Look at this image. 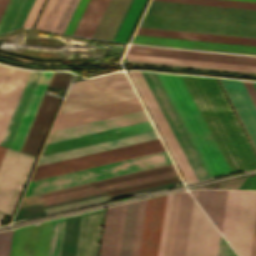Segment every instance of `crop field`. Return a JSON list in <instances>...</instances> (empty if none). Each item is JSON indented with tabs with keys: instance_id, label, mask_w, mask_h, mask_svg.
I'll list each match as a JSON object with an SVG mask.
<instances>
[{
	"instance_id": "14",
	"label": "crop field",
	"mask_w": 256,
	"mask_h": 256,
	"mask_svg": "<svg viewBox=\"0 0 256 256\" xmlns=\"http://www.w3.org/2000/svg\"><path fill=\"white\" fill-rule=\"evenodd\" d=\"M12 67L0 66V97L8 81ZM30 71L14 68L0 100V141L12 115Z\"/></svg>"
},
{
	"instance_id": "25",
	"label": "crop field",
	"mask_w": 256,
	"mask_h": 256,
	"mask_svg": "<svg viewBox=\"0 0 256 256\" xmlns=\"http://www.w3.org/2000/svg\"><path fill=\"white\" fill-rule=\"evenodd\" d=\"M122 206L107 208L100 256H115Z\"/></svg>"
},
{
	"instance_id": "12",
	"label": "crop field",
	"mask_w": 256,
	"mask_h": 256,
	"mask_svg": "<svg viewBox=\"0 0 256 256\" xmlns=\"http://www.w3.org/2000/svg\"><path fill=\"white\" fill-rule=\"evenodd\" d=\"M52 220L15 229L10 256H47Z\"/></svg>"
},
{
	"instance_id": "40",
	"label": "crop field",
	"mask_w": 256,
	"mask_h": 256,
	"mask_svg": "<svg viewBox=\"0 0 256 256\" xmlns=\"http://www.w3.org/2000/svg\"><path fill=\"white\" fill-rule=\"evenodd\" d=\"M252 84H253V86H254V88L256 90V82H252Z\"/></svg>"
},
{
	"instance_id": "1",
	"label": "crop field",
	"mask_w": 256,
	"mask_h": 256,
	"mask_svg": "<svg viewBox=\"0 0 256 256\" xmlns=\"http://www.w3.org/2000/svg\"><path fill=\"white\" fill-rule=\"evenodd\" d=\"M141 108L142 106L138 98H135V99L117 102L109 105H104V106L77 111L69 114H64L57 117L52 130L86 122V121L103 118V117H108V116H112V115H116L124 112H129V111H133ZM147 120H149L147 114L145 113L144 109H141V110H137L129 113H124V114H120V115H116L108 118H103V119H99L91 122H86V123H82V124H78L70 127L53 130L50 132L46 143L61 140V139H66L70 137H75L79 135H84L88 133H93L97 131L116 128L120 126H125L129 124H134L138 122H143ZM152 129L153 127L150 121H147L143 123H138L134 125L102 131L98 133H93V134H88L84 136L57 141V142H52L45 145L41 155L60 151V150H65L73 147H78L82 145H87L95 142H100L108 139L122 137L130 134L144 132ZM157 138L158 136L155 130H152L144 133L130 135V136L117 138L113 140H108V141L95 143L87 146H82V147L73 148L65 151L51 153V154L41 156L37 166L55 162V161L64 160V159H69L73 157H78L86 154L109 150L117 147L140 143L148 140H153Z\"/></svg>"
},
{
	"instance_id": "10",
	"label": "crop field",
	"mask_w": 256,
	"mask_h": 256,
	"mask_svg": "<svg viewBox=\"0 0 256 256\" xmlns=\"http://www.w3.org/2000/svg\"><path fill=\"white\" fill-rule=\"evenodd\" d=\"M172 196L173 194L167 195V198L166 195H164L148 199L139 256H157L164 204L166 198L164 218L158 251V256H163Z\"/></svg>"
},
{
	"instance_id": "23",
	"label": "crop field",
	"mask_w": 256,
	"mask_h": 256,
	"mask_svg": "<svg viewBox=\"0 0 256 256\" xmlns=\"http://www.w3.org/2000/svg\"><path fill=\"white\" fill-rule=\"evenodd\" d=\"M40 73L41 72H36V71L30 72L28 79L26 81V84L21 93V96L16 105V108L8 124V127L5 131L3 139L0 143L1 145H5L8 147L10 146Z\"/></svg>"
},
{
	"instance_id": "3",
	"label": "crop field",
	"mask_w": 256,
	"mask_h": 256,
	"mask_svg": "<svg viewBox=\"0 0 256 256\" xmlns=\"http://www.w3.org/2000/svg\"><path fill=\"white\" fill-rule=\"evenodd\" d=\"M127 53L256 65V56L201 52V51L136 46V45H130ZM136 54H125V58L127 61H132V62H153V63H164V64H175V65L198 66V67H209V68L256 72V66L167 58V57H156V56H146V55H136Z\"/></svg>"
},
{
	"instance_id": "20",
	"label": "crop field",
	"mask_w": 256,
	"mask_h": 256,
	"mask_svg": "<svg viewBox=\"0 0 256 256\" xmlns=\"http://www.w3.org/2000/svg\"><path fill=\"white\" fill-rule=\"evenodd\" d=\"M53 72H42L40 78H39V81L36 85V88L33 92V95L30 99V102L27 106V109L25 111V114L22 118V121L19 125V128L16 132V135L13 139V142L11 144V148H15V149H20L21 145H22V142L25 138V135L28 131V128L31 124V121L34 117V114L38 108V105L41 101V98L44 94V91L47 87V84L50 80V77L52 75Z\"/></svg>"
},
{
	"instance_id": "24",
	"label": "crop field",
	"mask_w": 256,
	"mask_h": 256,
	"mask_svg": "<svg viewBox=\"0 0 256 256\" xmlns=\"http://www.w3.org/2000/svg\"><path fill=\"white\" fill-rule=\"evenodd\" d=\"M14 0H0V27L12 5ZM34 0H15L1 29H0V34L4 33V32H7V31H10L12 29H15V28H18L22 25L32 3H33Z\"/></svg>"
},
{
	"instance_id": "16",
	"label": "crop field",
	"mask_w": 256,
	"mask_h": 256,
	"mask_svg": "<svg viewBox=\"0 0 256 256\" xmlns=\"http://www.w3.org/2000/svg\"><path fill=\"white\" fill-rule=\"evenodd\" d=\"M99 0H80L64 33L82 36ZM109 0H100L98 7L83 36L91 38Z\"/></svg>"
},
{
	"instance_id": "6",
	"label": "crop field",
	"mask_w": 256,
	"mask_h": 256,
	"mask_svg": "<svg viewBox=\"0 0 256 256\" xmlns=\"http://www.w3.org/2000/svg\"><path fill=\"white\" fill-rule=\"evenodd\" d=\"M256 217V191L228 190L221 233L239 256H249Z\"/></svg>"
},
{
	"instance_id": "31",
	"label": "crop field",
	"mask_w": 256,
	"mask_h": 256,
	"mask_svg": "<svg viewBox=\"0 0 256 256\" xmlns=\"http://www.w3.org/2000/svg\"><path fill=\"white\" fill-rule=\"evenodd\" d=\"M157 75H158V77H159V79H160V81H161V83H162V85H163V87H164L166 93L168 94V96H169V98H170V100H171V102H172V104H173V106H174V108H175L177 114L179 115V117H180V119H181V121H182V123H183V125H184V127H185V129H186V131H187V133H188V135L190 136V138H191V140H192V142H193V144H194V146H195V148H196V150H197L199 156L201 157V159H202V161H203V163H204V165H205V167H206V169H207V171H208L210 177H213V174H212V172H211V170H210V168H209V166H208V164H207V162H206L204 156L202 155V153H201V151H200V149H199V147H198V145H197V143H196V141H195L193 135L191 134V132H190V130H189V128H188V126H187V124H186V122H185L183 116L181 115V113H180V111H179V109H178V107H177V105H176V103H175V101H174L172 95L170 94V92H169V90H168V88H167V86H166V84H165V82H164V80H163L161 74H158V73H157Z\"/></svg>"
},
{
	"instance_id": "8",
	"label": "crop field",
	"mask_w": 256,
	"mask_h": 256,
	"mask_svg": "<svg viewBox=\"0 0 256 256\" xmlns=\"http://www.w3.org/2000/svg\"><path fill=\"white\" fill-rule=\"evenodd\" d=\"M35 159L6 149L0 163V212L12 214Z\"/></svg>"
},
{
	"instance_id": "35",
	"label": "crop field",
	"mask_w": 256,
	"mask_h": 256,
	"mask_svg": "<svg viewBox=\"0 0 256 256\" xmlns=\"http://www.w3.org/2000/svg\"><path fill=\"white\" fill-rule=\"evenodd\" d=\"M218 256H236L232 249L228 246L225 240L220 238Z\"/></svg>"
},
{
	"instance_id": "13",
	"label": "crop field",
	"mask_w": 256,
	"mask_h": 256,
	"mask_svg": "<svg viewBox=\"0 0 256 256\" xmlns=\"http://www.w3.org/2000/svg\"><path fill=\"white\" fill-rule=\"evenodd\" d=\"M182 196L183 193H175L173 197L164 256H173ZM191 202L192 198L190 197V195L184 192L174 256H183L184 254Z\"/></svg>"
},
{
	"instance_id": "5",
	"label": "crop field",
	"mask_w": 256,
	"mask_h": 256,
	"mask_svg": "<svg viewBox=\"0 0 256 256\" xmlns=\"http://www.w3.org/2000/svg\"><path fill=\"white\" fill-rule=\"evenodd\" d=\"M182 115L194 135L214 176L229 173L230 170L210 134L201 114L189 94L181 76L162 74Z\"/></svg>"
},
{
	"instance_id": "15",
	"label": "crop field",
	"mask_w": 256,
	"mask_h": 256,
	"mask_svg": "<svg viewBox=\"0 0 256 256\" xmlns=\"http://www.w3.org/2000/svg\"><path fill=\"white\" fill-rule=\"evenodd\" d=\"M146 202H147V199L129 203V204L139 203V207H138V204H136V205L127 206V209H126V205H129V204H124L121 225H120V231H119L118 244H117V250H116V256H118V253H119L125 209H126V215H125L124 228H123L119 256H130L137 207H138V213H137V219H136V225H135V231H134V237H133L131 256H138L142 227H143V220H144V214H145V208H146Z\"/></svg>"
},
{
	"instance_id": "17",
	"label": "crop field",
	"mask_w": 256,
	"mask_h": 256,
	"mask_svg": "<svg viewBox=\"0 0 256 256\" xmlns=\"http://www.w3.org/2000/svg\"><path fill=\"white\" fill-rule=\"evenodd\" d=\"M221 80L256 146V108L242 81L223 78Z\"/></svg>"
},
{
	"instance_id": "11",
	"label": "crop field",
	"mask_w": 256,
	"mask_h": 256,
	"mask_svg": "<svg viewBox=\"0 0 256 256\" xmlns=\"http://www.w3.org/2000/svg\"><path fill=\"white\" fill-rule=\"evenodd\" d=\"M220 234L192 202L184 256H217Z\"/></svg>"
},
{
	"instance_id": "30",
	"label": "crop field",
	"mask_w": 256,
	"mask_h": 256,
	"mask_svg": "<svg viewBox=\"0 0 256 256\" xmlns=\"http://www.w3.org/2000/svg\"><path fill=\"white\" fill-rule=\"evenodd\" d=\"M167 1L256 9V2L236 1V0H167Z\"/></svg>"
},
{
	"instance_id": "29",
	"label": "crop field",
	"mask_w": 256,
	"mask_h": 256,
	"mask_svg": "<svg viewBox=\"0 0 256 256\" xmlns=\"http://www.w3.org/2000/svg\"><path fill=\"white\" fill-rule=\"evenodd\" d=\"M136 73H137V75H138V77H139V79H140L142 85L144 86V88H145V90H146V92H147V94H148V96H149L151 102L153 103V105H154V107H155V109H156V111H157L159 117L161 118V120H162V122H163V124H164V126H165V128H166V130H167V132H168V134L170 135V137H171V139H172V141H173V143H174L176 149L178 150V152H179V154H180V156H181V158H182V160H183L185 166L187 167V169H188V171H189V173H190V175H191L193 181H197L196 178H195V176H194V174H193V172H192V170H191V168H190V166H189V164H188V162H187V160L185 159V157H184V155H183V153H182V151H181V149H180V147H179V145H178V143H177L175 137L173 136V134H172V132H171V130H170V128H169V126H168V124H167L165 118H164V116L162 115V113H161V111H160V109H159V107H158V105H157V103H156V101H155V99H154L152 93L150 92V90H149V88H148V86H147V84H146V82H145V80H144V78H143L141 72H137V71H136Z\"/></svg>"
},
{
	"instance_id": "27",
	"label": "crop field",
	"mask_w": 256,
	"mask_h": 256,
	"mask_svg": "<svg viewBox=\"0 0 256 256\" xmlns=\"http://www.w3.org/2000/svg\"><path fill=\"white\" fill-rule=\"evenodd\" d=\"M81 217L82 214L67 217L61 256H75Z\"/></svg>"
},
{
	"instance_id": "39",
	"label": "crop field",
	"mask_w": 256,
	"mask_h": 256,
	"mask_svg": "<svg viewBox=\"0 0 256 256\" xmlns=\"http://www.w3.org/2000/svg\"><path fill=\"white\" fill-rule=\"evenodd\" d=\"M5 149H6L5 147L0 146V160L3 156V153H4Z\"/></svg>"
},
{
	"instance_id": "26",
	"label": "crop field",
	"mask_w": 256,
	"mask_h": 256,
	"mask_svg": "<svg viewBox=\"0 0 256 256\" xmlns=\"http://www.w3.org/2000/svg\"><path fill=\"white\" fill-rule=\"evenodd\" d=\"M147 0H131L111 41L126 43Z\"/></svg>"
},
{
	"instance_id": "21",
	"label": "crop field",
	"mask_w": 256,
	"mask_h": 256,
	"mask_svg": "<svg viewBox=\"0 0 256 256\" xmlns=\"http://www.w3.org/2000/svg\"><path fill=\"white\" fill-rule=\"evenodd\" d=\"M129 74H130V76H131V78H132V80H133V82H134V84H135L139 94L141 95V97H142V99H143V101H144V103H145V105H146L150 115L152 116V118H153V120H154V122H155V124H156V126H157V128H158V130H159V132H160V134L162 136V138L164 139V141H165V143H166V145H167V147H168V149H169L173 159L175 160V162H176V164H177V166H178V168H179V170H180V172H181L185 182H193L191 177H190V175H189V173H188V171H187V169H186V167L184 166V164H183V162H182V160H181L177 150L175 149V147H174V145H173L169 135L167 134V132H166V130H165V128H164L160 118L158 117V115H157V113H156L152 103L150 102V100H149V98H148V96H147L143 86L141 85V83H140V81H139L135 71H130Z\"/></svg>"
},
{
	"instance_id": "18",
	"label": "crop field",
	"mask_w": 256,
	"mask_h": 256,
	"mask_svg": "<svg viewBox=\"0 0 256 256\" xmlns=\"http://www.w3.org/2000/svg\"><path fill=\"white\" fill-rule=\"evenodd\" d=\"M79 0H48L35 28L63 33Z\"/></svg>"
},
{
	"instance_id": "9",
	"label": "crop field",
	"mask_w": 256,
	"mask_h": 256,
	"mask_svg": "<svg viewBox=\"0 0 256 256\" xmlns=\"http://www.w3.org/2000/svg\"><path fill=\"white\" fill-rule=\"evenodd\" d=\"M151 92L153 93L163 115L165 116L174 136L176 137L186 159L188 160L197 180L208 178L209 175L161 87L155 73L142 72Z\"/></svg>"
},
{
	"instance_id": "36",
	"label": "crop field",
	"mask_w": 256,
	"mask_h": 256,
	"mask_svg": "<svg viewBox=\"0 0 256 256\" xmlns=\"http://www.w3.org/2000/svg\"><path fill=\"white\" fill-rule=\"evenodd\" d=\"M239 189H256V176L247 178Z\"/></svg>"
},
{
	"instance_id": "19",
	"label": "crop field",
	"mask_w": 256,
	"mask_h": 256,
	"mask_svg": "<svg viewBox=\"0 0 256 256\" xmlns=\"http://www.w3.org/2000/svg\"><path fill=\"white\" fill-rule=\"evenodd\" d=\"M102 212L83 214L76 256H96Z\"/></svg>"
},
{
	"instance_id": "2",
	"label": "crop field",
	"mask_w": 256,
	"mask_h": 256,
	"mask_svg": "<svg viewBox=\"0 0 256 256\" xmlns=\"http://www.w3.org/2000/svg\"><path fill=\"white\" fill-rule=\"evenodd\" d=\"M170 163L171 161L166 151H163L98 167L40 179L36 180V187L29 188L31 182L29 183V190L27 189L24 197Z\"/></svg>"
},
{
	"instance_id": "33",
	"label": "crop field",
	"mask_w": 256,
	"mask_h": 256,
	"mask_svg": "<svg viewBox=\"0 0 256 256\" xmlns=\"http://www.w3.org/2000/svg\"><path fill=\"white\" fill-rule=\"evenodd\" d=\"M13 231L0 232V256H9Z\"/></svg>"
},
{
	"instance_id": "4",
	"label": "crop field",
	"mask_w": 256,
	"mask_h": 256,
	"mask_svg": "<svg viewBox=\"0 0 256 256\" xmlns=\"http://www.w3.org/2000/svg\"><path fill=\"white\" fill-rule=\"evenodd\" d=\"M136 34L256 45V39L138 28ZM134 35L131 43L256 55V46Z\"/></svg>"
},
{
	"instance_id": "28",
	"label": "crop field",
	"mask_w": 256,
	"mask_h": 256,
	"mask_svg": "<svg viewBox=\"0 0 256 256\" xmlns=\"http://www.w3.org/2000/svg\"><path fill=\"white\" fill-rule=\"evenodd\" d=\"M65 220L66 217L53 220L48 256H60Z\"/></svg>"
},
{
	"instance_id": "38",
	"label": "crop field",
	"mask_w": 256,
	"mask_h": 256,
	"mask_svg": "<svg viewBox=\"0 0 256 256\" xmlns=\"http://www.w3.org/2000/svg\"><path fill=\"white\" fill-rule=\"evenodd\" d=\"M250 256H256V223H255V229H254V235H253V241H252Z\"/></svg>"
},
{
	"instance_id": "41",
	"label": "crop field",
	"mask_w": 256,
	"mask_h": 256,
	"mask_svg": "<svg viewBox=\"0 0 256 256\" xmlns=\"http://www.w3.org/2000/svg\"><path fill=\"white\" fill-rule=\"evenodd\" d=\"M3 216H4L3 214H0V223H1Z\"/></svg>"
},
{
	"instance_id": "42",
	"label": "crop field",
	"mask_w": 256,
	"mask_h": 256,
	"mask_svg": "<svg viewBox=\"0 0 256 256\" xmlns=\"http://www.w3.org/2000/svg\"><path fill=\"white\" fill-rule=\"evenodd\" d=\"M247 1H256V0H247Z\"/></svg>"
},
{
	"instance_id": "22",
	"label": "crop field",
	"mask_w": 256,
	"mask_h": 256,
	"mask_svg": "<svg viewBox=\"0 0 256 256\" xmlns=\"http://www.w3.org/2000/svg\"><path fill=\"white\" fill-rule=\"evenodd\" d=\"M227 190H195L194 197L216 225L221 229Z\"/></svg>"
},
{
	"instance_id": "37",
	"label": "crop field",
	"mask_w": 256,
	"mask_h": 256,
	"mask_svg": "<svg viewBox=\"0 0 256 256\" xmlns=\"http://www.w3.org/2000/svg\"><path fill=\"white\" fill-rule=\"evenodd\" d=\"M252 101L254 102L255 106H256V92L251 84V82H246V81H243Z\"/></svg>"
},
{
	"instance_id": "7",
	"label": "crop field",
	"mask_w": 256,
	"mask_h": 256,
	"mask_svg": "<svg viewBox=\"0 0 256 256\" xmlns=\"http://www.w3.org/2000/svg\"><path fill=\"white\" fill-rule=\"evenodd\" d=\"M165 150L160 139L55 162L35 168L32 180Z\"/></svg>"
},
{
	"instance_id": "34",
	"label": "crop field",
	"mask_w": 256,
	"mask_h": 256,
	"mask_svg": "<svg viewBox=\"0 0 256 256\" xmlns=\"http://www.w3.org/2000/svg\"><path fill=\"white\" fill-rule=\"evenodd\" d=\"M103 201H104L103 197H100V198L82 201V202H78V203L68 204V205L59 206V207H55V208H50V209H46L44 211L46 214H48V213H52V212L62 211V210H66V209L80 207V206H84V205H88V204L99 203V202H103Z\"/></svg>"
},
{
	"instance_id": "32",
	"label": "crop field",
	"mask_w": 256,
	"mask_h": 256,
	"mask_svg": "<svg viewBox=\"0 0 256 256\" xmlns=\"http://www.w3.org/2000/svg\"><path fill=\"white\" fill-rule=\"evenodd\" d=\"M45 0H35L23 25L31 28Z\"/></svg>"
}]
</instances>
